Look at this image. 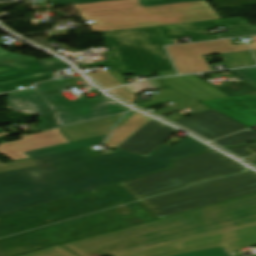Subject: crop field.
I'll return each mask as SVG.
<instances>
[{"instance_id": "50", "label": "crop field", "mask_w": 256, "mask_h": 256, "mask_svg": "<svg viewBox=\"0 0 256 256\" xmlns=\"http://www.w3.org/2000/svg\"><path fill=\"white\" fill-rule=\"evenodd\" d=\"M256 256V255H255Z\"/></svg>"}, {"instance_id": "37", "label": "crop field", "mask_w": 256, "mask_h": 256, "mask_svg": "<svg viewBox=\"0 0 256 256\" xmlns=\"http://www.w3.org/2000/svg\"><path fill=\"white\" fill-rule=\"evenodd\" d=\"M256 146V143L255 144H251V145H247V146H243V147H238V148H226L227 150L237 154L238 156L244 158L246 156H250V155H253L255 154L254 151L250 150L249 148L251 147H255Z\"/></svg>"}, {"instance_id": "12", "label": "crop field", "mask_w": 256, "mask_h": 256, "mask_svg": "<svg viewBox=\"0 0 256 256\" xmlns=\"http://www.w3.org/2000/svg\"><path fill=\"white\" fill-rule=\"evenodd\" d=\"M20 138L21 140L1 144L0 153L6 155L12 161H16L30 158L24 154L25 152L69 142L58 129L33 135L20 136Z\"/></svg>"}, {"instance_id": "47", "label": "crop field", "mask_w": 256, "mask_h": 256, "mask_svg": "<svg viewBox=\"0 0 256 256\" xmlns=\"http://www.w3.org/2000/svg\"><path fill=\"white\" fill-rule=\"evenodd\" d=\"M0 256H5L2 252H0Z\"/></svg>"}, {"instance_id": "21", "label": "crop field", "mask_w": 256, "mask_h": 256, "mask_svg": "<svg viewBox=\"0 0 256 256\" xmlns=\"http://www.w3.org/2000/svg\"><path fill=\"white\" fill-rule=\"evenodd\" d=\"M51 4H58L60 6L69 5V4H83L99 1H108V0H48ZM199 0H138L141 7L160 5V4H170V3H182V2H192Z\"/></svg>"}, {"instance_id": "11", "label": "crop field", "mask_w": 256, "mask_h": 256, "mask_svg": "<svg viewBox=\"0 0 256 256\" xmlns=\"http://www.w3.org/2000/svg\"><path fill=\"white\" fill-rule=\"evenodd\" d=\"M178 130L152 119L116 149L147 157Z\"/></svg>"}, {"instance_id": "45", "label": "crop field", "mask_w": 256, "mask_h": 256, "mask_svg": "<svg viewBox=\"0 0 256 256\" xmlns=\"http://www.w3.org/2000/svg\"><path fill=\"white\" fill-rule=\"evenodd\" d=\"M7 135H8V133H3V134H0V137L7 136Z\"/></svg>"}, {"instance_id": "44", "label": "crop field", "mask_w": 256, "mask_h": 256, "mask_svg": "<svg viewBox=\"0 0 256 256\" xmlns=\"http://www.w3.org/2000/svg\"><path fill=\"white\" fill-rule=\"evenodd\" d=\"M246 160L252 162V163H255L256 162V156L254 157H250V158H246Z\"/></svg>"}, {"instance_id": "7", "label": "crop field", "mask_w": 256, "mask_h": 256, "mask_svg": "<svg viewBox=\"0 0 256 256\" xmlns=\"http://www.w3.org/2000/svg\"><path fill=\"white\" fill-rule=\"evenodd\" d=\"M180 244V243H179ZM256 245V226L220 233L180 245L164 246L125 256H173L222 246L227 252Z\"/></svg>"}, {"instance_id": "49", "label": "crop field", "mask_w": 256, "mask_h": 256, "mask_svg": "<svg viewBox=\"0 0 256 256\" xmlns=\"http://www.w3.org/2000/svg\"><path fill=\"white\" fill-rule=\"evenodd\" d=\"M256 165V164H255Z\"/></svg>"}, {"instance_id": "46", "label": "crop field", "mask_w": 256, "mask_h": 256, "mask_svg": "<svg viewBox=\"0 0 256 256\" xmlns=\"http://www.w3.org/2000/svg\"><path fill=\"white\" fill-rule=\"evenodd\" d=\"M4 131H3V129L2 128H0V133H3Z\"/></svg>"}, {"instance_id": "10", "label": "crop field", "mask_w": 256, "mask_h": 256, "mask_svg": "<svg viewBox=\"0 0 256 256\" xmlns=\"http://www.w3.org/2000/svg\"><path fill=\"white\" fill-rule=\"evenodd\" d=\"M249 25L241 17L154 27L162 44H174L171 37L189 36L192 42L219 39L218 35L209 36L206 28L224 26L225 28Z\"/></svg>"}, {"instance_id": "25", "label": "crop field", "mask_w": 256, "mask_h": 256, "mask_svg": "<svg viewBox=\"0 0 256 256\" xmlns=\"http://www.w3.org/2000/svg\"><path fill=\"white\" fill-rule=\"evenodd\" d=\"M184 97H186V96L176 92L173 89H169V90L161 91L160 94H158V95L152 96V98H154V100L139 104L138 106H140L144 109H147V108H151V107L161 105V104H164L167 102H171V101H174L177 99H181Z\"/></svg>"}, {"instance_id": "36", "label": "crop field", "mask_w": 256, "mask_h": 256, "mask_svg": "<svg viewBox=\"0 0 256 256\" xmlns=\"http://www.w3.org/2000/svg\"><path fill=\"white\" fill-rule=\"evenodd\" d=\"M37 119L43 122L42 124L38 125V129L40 131L57 127L51 114L39 116Z\"/></svg>"}, {"instance_id": "43", "label": "crop field", "mask_w": 256, "mask_h": 256, "mask_svg": "<svg viewBox=\"0 0 256 256\" xmlns=\"http://www.w3.org/2000/svg\"><path fill=\"white\" fill-rule=\"evenodd\" d=\"M255 44H249L252 50H256V37H253Z\"/></svg>"}, {"instance_id": "35", "label": "crop field", "mask_w": 256, "mask_h": 256, "mask_svg": "<svg viewBox=\"0 0 256 256\" xmlns=\"http://www.w3.org/2000/svg\"><path fill=\"white\" fill-rule=\"evenodd\" d=\"M129 91H131L134 95L146 90H154L156 89L153 85H151L148 81H142L139 83H135L129 86H125Z\"/></svg>"}, {"instance_id": "42", "label": "crop field", "mask_w": 256, "mask_h": 256, "mask_svg": "<svg viewBox=\"0 0 256 256\" xmlns=\"http://www.w3.org/2000/svg\"><path fill=\"white\" fill-rule=\"evenodd\" d=\"M133 114H134V112L127 113V115L122 119V121L119 123V125H121L124 121H126Z\"/></svg>"}, {"instance_id": "40", "label": "crop field", "mask_w": 256, "mask_h": 256, "mask_svg": "<svg viewBox=\"0 0 256 256\" xmlns=\"http://www.w3.org/2000/svg\"><path fill=\"white\" fill-rule=\"evenodd\" d=\"M158 77L177 75L175 71L157 73Z\"/></svg>"}, {"instance_id": "24", "label": "crop field", "mask_w": 256, "mask_h": 256, "mask_svg": "<svg viewBox=\"0 0 256 256\" xmlns=\"http://www.w3.org/2000/svg\"><path fill=\"white\" fill-rule=\"evenodd\" d=\"M174 102L178 103L177 107H167V108H164L161 110L154 111L153 113L163 116V115H166V114H169V113H172L175 111H179V110H182V109H185L188 107H190L196 113L200 112V111L207 110V109H211V108H209L199 102H196L188 97L181 99V100L174 101Z\"/></svg>"}, {"instance_id": "41", "label": "crop field", "mask_w": 256, "mask_h": 256, "mask_svg": "<svg viewBox=\"0 0 256 256\" xmlns=\"http://www.w3.org/2000/svg\"><path fill=\"white\" fill-rule=\"evenodd\" d=\"M165 119H168L170 121L174 120V119H178V118H182L181 116L175 114V115H171V116H168V117H164ZM175 121V120H174Z\"/></svg>"}, {"instance_id": "29", "label": "crop field", "mask_w": 256, "mask_h": 256, "mask_svg": "<svg viewBox=\"0 0 256 256\" xmlns=\"http://www.w3.org/2000/svg\"><path fill=\"white\" fill-rule=\"evenodd\" d=\"M36 166H37V164L32 159L16 161V162H9V163H1L0 162V173L24 169V168L36 167Z\"/></svg>"}, {"instance_id": "33", "label": "crop field", "mask_w": 256, "mask_h": 256, "mask_svg": "<svg viewBox=\"0 0 256 256\" xmlns=\"http://www.w3.org/2000/svg\"><path fill=\"white\" fill-rule=\"evenodd\" d=\"M178 256H230L222 247L198 251Z\"/></svg>"}, {"instance_id": "16", "label": "crop field", "mask_w": 256, "mask_h": 256, "mask_svg": "<svg viewBox=\"0 0 256 256\" xmlns=\"http://www.w3.org/2000/svg\"><path fill=\"white\" fill-rule=\"evenodd\" d=\"M6 96L7 107L11 106L16 111L31 108L41 115L58 110L37 88L7 93Z\"/></svg>"}, {"instance_id": "26", "label": "crop field", "mask_w": 256, "mask_h": 256, "mask_svg": "<svg viewBox=\"0 0 256 256\" xmlns=\"http://www.w3.org/2000/svg\"><path fill=\"white\" fill-rule=\"evenodd\" d=\"M52 78H53L52 74L49 73V74H45V75H41V76L29 78V79L18 80V81H14V82H10V83L1 84L0 92L1 93L10 92V91L16 90L17 89L16 87H19V86H22L25 88L35 82L49 80Z\"/></svg>"}, {"instance_id": "48", "label": "crop field", "mask_w": 256, "mask_h": 256, "mask_svg": "<svg viewBox=\"0 0 256 256\" xmlns=\"http://www.w3.org/2000/svg\"><path fill=\"white\" fill-rule=\"evenodd\" d=\"M254 52V54H255V56H256V51H253Z\"/></svg>"}, {"instance_id": "1", "label": "crop field", "mask_w": 256, "mask_h": 256, "mask_svg": "<svg viewBox=\"0 0 256 256\" xmlns=\"http://www.w3.org/2000/svg\"><path fill=\"white\" fill-rule=\"evenodd\" d=\"M208 150L188 137L147 158L124 151L90 158L80 149L35 159L39 167L0 174V215L167 169L171 159Z\"/></svg>"}, {"instance_id": "23", "label": "crop field", "mask_w": 256, "mask_h": 256, "mask_svg": "<svg viewBox=\"0 0 256 256\" xmlns=\"http://www.w3.org/2000/svg\"><path fill=\"white\" fill-rule=\"evenodd\" d=\"M230 69L256 65L250 52L223 54Z\"/></svg>"}, {"instance_id": "9", "label": "crop field", "mask_w": 256, "mask_h": 256, "mask_svg": "<svg viewBox=\"0 0 256 256\" xmlns=\"http://www.w3.org/2000/svg\"><path fill=\"white\" fill-rule=\"evenodd\" d=\"M173 122L192 130L209 140L248 128L214 109L178 119Z\"/></svg>"}, {"instance_id": "15", "label": "crop field", "mask_w": 256, "mask_h": 256, "mask_svg": "<svg viewBox=\"0 0 256 256\" xmlns=\"http://www.w3.org/2000/svg\"><path fill=\"white\" fill-rule=\"evenodd\" d=\"M161 81L169 88H173L197 101L228 97L194 75L163 78Z\"/></svg>"}, {"instance_id": "19", "label": "crop field", "mask_w": 256, "mask_h": 256, "mask_svg": "<svg viewBox=\"0 0 256 256\" xmlns=\"http://www.w3.org/2000/svg\"><path fill=\"white\" fill-rule=\"evenodd\" d=\"M106 136H101V137H97V138L68 143V144H64V145H60V146H55V147H51V148H46V149H42V150H38V151L29 152L26 154L29 155L32 159H35V158H39V157L56 154V153L80 149V148L100 144L103 142V140L106 138Z\"/></svg>"}, {"instance_id": "28", "label": "crop field", "mask_w": 256, "mask_h": 256, "mask_svg": "<svg viewBox=\"0 0 256 256\" xmlns=\"http://www.w3.org/2000/svg\"><path fill=\"white\" fill-rule=\"evenodd\" d=\"M42 94L55 92L59 90L73 88L74 86L70 82H58V81H48L44 83L37 84L36 86Z\"/></svg>"}, {"instance_id": "38", "label": "crop field", "mask_w": 256, "mask_h": 256, "mask_svg": "<svg viewBox=\"0 0 256 256\" xmlns=\"http://www.w3.org/2000/svg\"><path fill=\"white\" fill-rule=\"evenodd\" d=\"M110 92L114 93L118 97H120V98H122L124 100H127V101H129L131 103H133V101L136 99V96H134L131 92H129L124 87L118 88V89H114V90H110Z\"/></svg>"}, {"instance_id": "18", "label": "crop field", "mask_w": 256, "mask_h": 256, "mask_svg": "<svg viewBox=\"0 0 256 256\" xmlns=\"http://www.w3.org/2000/svg\"><path fill=\"white\" fill-rule=\"evenodd\" d=\"M150 120L151 118H147L141 114H134L125 123L113 131V133L104 143V146L112 148L117 147Z\"/></svg>"}, {"instance_id": "27", "label": "crop field", "mask_w": 256, "mask_h": 256, "mask_svg": "<svg viewBox=\"0 0 256 256\" xmlns=\"http://www.w3.org/2000/svg\"><path fill=\"white\" fill-rule=\"evenodd\" d=\"M218 89L230 97L237 96V95L256 93V88L245 83L244 81L238 82V83H235L232 85H228V86H225L222 88H218Z\"/></svg>"}, {"instance_id": "13", "label": "crop field", "mask_w": 256, "mask_h": 256, "mask_svg": "<svg viewBox=\"0 0 256 256\" xmlns=\"http://www.w3.org/2000/svg\"><path fill=\"white\" fill-rule=\"evenodd\" d=\"M67 68L59 59H41L0 64V84Z\"/></svg>"}, {"instance_id": "30", "label": "crop field", "mask_w": 256, "mask_h": 256, "mask_svg": "<svg viewBox=\"0 0 256 256\" xmlns=\"http://www.w3.org/2000/svg\"><path fill=\"white\" fill-rule=\"evenodd\" d=\"M89 76L96 80L98 84L102 85L106 89L121 85L107 71L90 74Z\"/></svg>"}, {"instance_id": "2", "label": "crop field", "mask_w": 256, "mask_h": 256, "mask_svg": "<svg viewBox=\"0 0 256 256\" xmlns=\"http://www.w3.org/2000/svg\"><path fill=\"white\" fill-rule=\"evenodd\" d=\"M256 225V194L20 256H121Z\"/></svg>"}, {"instance_id": "22", "label": "crop field", "mask_w": 256, "mask_h": 256, "mask_svg": "<svg viewBox=\"0 0 256 256\" xmlns=\"http://www.w3.org/2000/svg\"><path fill=\"white\" fill-rule=\"evenodd\" d=\"M253 140H256V132L249 129V130L216 140L214 141V143L222 147H226V146H233V145L248 143Z\"/></svg>"}, {"instance_id": "6", "label": "crop field", "mask_w": 256, "mask_h": 256, "mask_svg": "<svg viewBox=\"0 0 256 256\" xmlns=\"http://www.w3.org/2000/svg\"><path fill=\"white\" fill-rule=\"evenodd\" d=\"M256 193V173L192 186L187 190L141 201L161 218Z\"/></svg>"}, {"instance_id": "4", "label": "crop field", "mask_w": 256, "mask_h": 256, "mask_svg": "<svg viewBox=\"0 0 256 256\" xmlns=\"http://www.w3.org/2000/svg\"><path fill=\"white\" fill-rule=\"evenodd\" d=\"M248 170L241 164L212 151L175 160L172 169L119 185L140 200L181 189L192 183Z\"/></svg>"}, {"instance_id": "32", "label": "crop field", "mask_w": 256, "mask_h": 256, "mask_svg": "<svg viewBox=\"0 0 256 256\" xmlns=\"http://www.w3.org/2000/svg\"><path fill=\"white\" fill-rule=\"evenodd\" d=\"M230 72L256 87V68L232 70Z\"/></svg>"}, {"instance_id": "14", "label": "crop field", "mask_w": 256, "mask_h": 256, "mask_svg": "<svg viewBox=\"0 0 256 256\" xmlns=\"http://www.w3.org/2000/svg\"><path fill=\"white\" fill-rule=\"evenodd\" d=\"M130 110L122 105H119L111 100L82 107L77 109H72L68 111L53 113L54 120L58 127L64 125L100 118L115 113Z\"/></svg>"}, {"instance_id": "3", "label": "crop field", "mask_w": 256, "mask_h": 256, "mask_svg": "<svg viewBox=\"0 0 256 256\" xmlns=\"http://www.w3.org/2000/svg\"><path fill=\"white\" fill-rule=\"evenodd\" d=\"M74 6L84 21L98 23L87 24L94 33L221 19L205 1L145 8H141L137 0Z\"/></svg>"}, {"instance_id": "34", "label": "crop field", "mask_w": 256, "mask_h": 256, "mask_svg": "<svg viewBox=\"0 0 256 256\" xmlns=\"http://www.w3.org/2000/svg\"><path fill=\"white\" fill-rule=\"evenodd\" d=\"M32 59H35V58L8 53L0 49V63L24 61V60H32Z\"/></svg>"}, {"instance_id": "39", "label": "crop field", "mask_w": 256, "mask_h": 256, "mask_svg": "<svg viewBox=\"0 0 256 256\" xmlns=\"http://www.w3.org/2000/svg\"><path fill=\"white\" fill-rule=\"evenodd\" d=\"M115 79H117L122 85L126 84V82L124 81L125 78L120 75L117 70L113 69V70H109L108 71Z\"/></svg>"}, {"instance_id": "8", "label": "crop field", "mask_w": 256, "mask_h": 256, "mask_svg": "<svg viewBox=\"0 0 256 256\" xmlns=\"http://www.w3.org/2000/svg\"><path fill=\"white\" fill-rule=\"evenodd\" d=\"M166 48L180 74L209 71L203 55L249 51L246 44L233 46L230 39Z\"/></svg>"}, {"instance_id": "31", "label": "crop field", "mask_w": 256, "mask_h": 256, "mask_svg": "<svg viewBox=\"0 0 256 256\" xmlns=\"http://www.w3.org/2000/svg\"><path fill=\"white\" fill-rule=\"evenodd\" d=\"M227 31L228 34L221 35L222 38L254 35L256 34V26L231 28Z\"/></svg>"}, {"instance_id": "5", "label": "crop field", "mask_w": 256, "mask_h": 256, "mask_svg": "<svg viewBox=\"0 0 256 256\" xmlns=\"http://www.w3.org/2000/svg\"><path fill=\"white\" fill-rule=\"evenodd\" d=\"M100 34L107 61L88 67L113 64L122 75L174 70L153 27Z\"/></svg>"}, {"instance_id": "20", "label": "crop field", "mask_w": 256, "mask_h": 256, "mask_svg": "<svg viewBox=\"0 0 256 256\" xmlns=\"http://www.w3.org/2000/svg\"><path fill=\"white\" fill-rule=\"evenodd\" d=\"M44 96L50 102H52L60 111L77 108V107H82V106L102 102L105 100H109L108 98H106L104 96L93 98V99H85L84 97L80 96L75 101H70L62 94L50 93V94H45Z\"/></svg>"}, {"instance_id": "17", "label": "crop field", "mask_w": 256, "mask_h": 256, "mask_svg": "<svg viewBox=\"0 0 256 256\" xmlns=\"http://www.w3.org/2000/svg\"><path fill=\"white\" fill-rule=\"evenodd\" d=\"M122 115L61 128L60 131L70 142L106 135Z\"/></svg>"}]
</instances>
